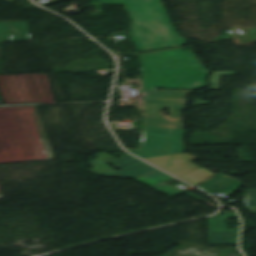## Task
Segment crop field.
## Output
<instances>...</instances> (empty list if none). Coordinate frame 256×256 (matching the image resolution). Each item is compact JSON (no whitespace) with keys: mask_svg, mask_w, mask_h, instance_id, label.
Returning a JSON list of instances; mask_svg holds the SVG:
<instances>
[{"mask_svg":"<svg viewBox=\"0 0 256 256\" xmlns=\"http://www.w3.org/2000/svg\"><path fill=\"white\" fill-rule=\"evenodd\" d=\"M30 41L28 23H0V42Z\"/></svg>","mask_w":256,"mask_h":256,"instance_id":"3316defc","label":"crop field"},{"mask_svg":"<svg viewBox=\"0 0 256 256\" xmlns=\"http://www.w3.org/2000/svg\"><path fill=\"white\" fill-rule=\"evenodd\" d=\"M140 62L197 60L191 50L181 49L138 56Z\"/></svg>","mask_w":256,"mask_h":256,"instance_id":"d1516ede","label":"crop field"},{"mask_svg":"<svg viewBox=\"0 0 256 256\" xmlns=\"http://www.w3.org/2000/svg\"><path fill=\"white\" fill-rule=\"evenodd\" d=\"M254 216H256V215H254Z\"/></svg>","mask_w":256,"mask_h":256,"instance_id":"214f88e0","label":"crop field"},{"mask_svg":"<svg viewBox=\"0 0 256 256\" xmlns=\"http://www.w3.org/2000/svg\"><path fill=\"white\" fill-rule=\"evenodd\" d=\"M142 162L143 161H141V160H139L137 158H134V157H132V156L127 154L125 156H122L121 159L116 160L114 162H111L109 164L114 165V166H116L118 168L124 169V168L130 167V166L142 163Z\"/></svg>","mask_w":256,"mask_h":256,"instance_id":"cbeb9de0","label":"crop field"},{"mask_svg":"<svg viewBox=\"0 0 256 256\" xmlns=\"http://www.w3.org/2000/svg\"><path fill=\"white\" fill-rule=\"evenodd\" d=\"M188 156H190L191 158H192V160H194V159H199L197 156H195V155H192V154H188V153H186Z\"/></svg>","mask_w":256,"mask_h":256,"instance_id":"bc2a9ffb","label":"crop field"},{"mask_svg":"<svg viewBox=\"0 0 256 256\" xmlns=\"http://www.w3.org/2000/svg\"><path fill=\"white\" fill-rule=\"evenodd\" d=\"M217 174L201 167L195 171H192L186 175H183L179 178L195 185L198 186L200 184H202L203 182L207 181L208 179L212 178L213 176H215Z\"/></svg>","mask_w":256,"mask_h":256,"instance_id":"22f410ed","label":"crop field"},{"mask_svg":"<svg viewBox=\"0 0 256 256\" xmlns=\"http://www.w3.org/2000/svg\"><path fill=\"white\" fill-rule=\"evenodd\" d=\"M23 75H25L27 79L34 101H32L31 99V96L29 94L28 87L26 85ZM23 75H15V76L0 75V87L6 103H16V102L52 103V94L49 88L48 77L46 74H40V76H41L47 97H45L44 95L38 74H33L41 100H39L38 98L31 74H23Z\"/></svg>","mask_w":256,"mask_h":256,"instance_id":"f4fd0767","label":"crop field"},{"mask_svg":"<svg viewBox=\"0 0 256 256\" xmlns=\"http://www.w3.org/2000/svg\"><path fill=\"white\" fill-rule=\"evenodd\" d=\"M241 184L239 180L226 177L221 173L198 187L213 195L219 191L227 193Z\"/></svg>","mask_w":256,"mask_h":256,"instance_id":"28ad6ade","label":"crop field"},{"mask_svg":"<svg viewBox=\"0 0 256 256\" xmlns=\"http://www.w3.org/2000/svg\"><path fill=\"white\" fill-rule=\"evenodd\" d=\"M144 88L199 89L207 86L199 61L140 63Z\"/></svg>","mask_w":256,"mask_h":256,"instance_id":"ac0d7876","label":"crop field"},{"mask_svg":"<svg viewBox=\"0 0 256 256\" xmlns=\"http://www.w3.org/2000/svg\"><path fill=\"white\" fill-rule=\"evenodd\" d=\"M220 75H234V71L214 72L210 75L209 81L212 85L210 89H219Z\"/></svg>","mask_w":256,"mask_h":256,"instance_id":"5142ce71","label":"crop field"},{"mask_svg":"<svg viewBox=\"0 0 256 256\" xmlns=\"http://www.w3.org/2000/svg\"><path fill=\"white\" fill-rule=\"evenodd\" d=\"M244 201H245L247 207H255L256 206V191L255 190H249L245 194Z\"/></svg>","mask_w":256,"mask_h":256,"instance_id":"d9b57169","label":"crop field"},{"mask_svg":"<svg viewBox=\"0 0 256 256\" xmlns=\"http://www.w3.org/2000/svg\"><path fill=\"white\" fill-rule=\"evenodd\" d=\"M97 158L90 161V166L95 167L94 169L88 171L89 173L101 176H113V177H124V178H138L146 173H149L155 168L152 166L142 163L119 172L115 171L105 163L116 160L109 154L103 152L99 154H95Z\"/></svg>","mask_w":256,"mask_h":256,"instance_id":"dd49c442","label":"crop field"},{"mask_svg":"<svg viewBox=\"0 0 256 256\" xmlns=\"http://www.w3.org/2000/svg\"><path fill=\"white\" fill-rule=\"evenodd\" d=\"M228 217H237V214L233 212L208 218L210 245L237 244L239 229H226L224 218Z\"/></svg>","mask_w":256,"mask_h":256,"instance_id":"e52e79f7","label":"crop field"},{"mask_svg":"<svg viewBox=\"0 0 256 256\" xmlns=\"http://www.w3.org/2000/svg\"><path fill=\"white\" fill-rule=\"evenodd\" d=\"M105 4L125 5L131 24L130 39L140 52L184 46L161 0H100ZM169 49V48H168Z\"/></svg>","mask_w":256,"mask_h":256,"instance_id":"8a807250","label":"crop field"},{"mask_svg":"<svg viewBox=\"0 0 256 256\" xmlns=\"http://www.w3.org/2000/svg\"><path fill=\"white\" fill-rule=\"evenodd\" d=\"M171 179H173V178L158 171V170H155V171H153L147 175H144L138 179H135V180L149 186L150 188H153V189H156V190L162 192L166 196L172 197L181 192L164 184L165 182H167Z\"/></svg>","mask_w":256,"mask_h":256,"instance_id":"5a996713","label":"crop field"},{"mask_svg":"<svg viewBox=\"0 0 256 256\" xmlns=\"http://www.w3.org/2000/svg\"><path fill=\"white\" fill-rule=\"evenodd\" d=\"M185 194H187V195H189V196H192V197H194V198H196V199H198V200H200V201H203V202H205V203H207V204H209V205H211V206H213V207H215V208L218 209L217 206H215V205H213V204H211V203H209V202H207V201H205V200H203V199H201V198H199V197H197V196H195V195H193V194H191V193H189V192H187V193H185Z\"/></svg>","mask_w":256,"mask_h":256,"instance_id":"733c2abd","label":"crop field"},{"mask_svg":"<svg viewBox=\"0 0 256 256\" xmlns=\"http://www.w3.org/2000/svg\"><path fill=\"white\" fill-rule=\"evenodd\" d=\"M143 131L140 150L127 149L141 158L183 153L185 150L183 137L188 130L144 126Z\"/></svg>","mask_w":256,"mask_h":256,"instance_id":"412701ff","label":"crop field"},{"mask_svg":"<svg viewBox=\"0 0 256 256\" xmlns=\"http://www.w3.org/2000/svg\"><path fill=\"white\" fill-rule=\"evenodd\" d=\"M208 103H209V102H207V101H203V100L197 99V100L195 101V103L193 104V106H196V105H198V104L207 105Z\"/></svg>","mask_w":256,"mask_h":256,"instance_id":"4a817a6b","label":"crop field"},{"mask_svg":"<svg viewBox=\"0 0 256 256\" xmlns=\"http://www.w3.org/2000/svg\"><path fill=\"white\" fill-rule=\"evenodd\" d=\"M145 160L153 163L154 165L164 169L165 171L177 177L200 167V165H196L195 163H193V161L184 153L146 158Z\"/></svg>","mask_w":256,"mask_h":256,"instance_id":"d8731c3e","label":"crop field"},{"mask_svg":"<svg viewBox=\"0 0 256 256\" xmlns=\"http://www.w3.org/2000/svg\"><path fill=\"white\" fill-rule=\"evenodd\" d=\"M150 108H169L170 115L159 116L158 111L144 117V125L184 129L182 111L186 103L184 97L190 92L141 91Z\"/></svg>","mask_w":256,"mask_h":256,"instance_id":"34b2d1b8","label":"crop field"}]
</instances>
